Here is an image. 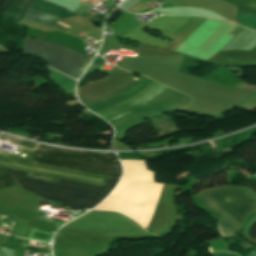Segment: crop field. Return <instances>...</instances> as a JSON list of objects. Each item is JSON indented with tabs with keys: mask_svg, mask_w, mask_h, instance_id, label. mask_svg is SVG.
Wrapping results in <instances>:
<instances>
[{
	"mask_svg": "<svg viewBox=\"0 0 256 256\" xmlns=\"http://www.w3.org/2000/svg\"><path fill=\"white\" fill-rule=\"evenodd\" d=\"M33 160L39 164L82 172L120 177L122 170L115 155L38 145ZM5 169V168H4ZM20 187L73 210L92 209L113 189L119 178L109 177L105 186H96L58 178L57 183L24 178V172L5 169Z\"/></svg>",
	"mask_w": 256,
	"mask_h": 256,
	"instance_id": "8a807250",
	"label": "crop field"
},
{
	"mask_svg": "<svg viewBox=\"0 0 256 256\" xmlns=\"http://www.w3.org/2000/svg\"><path fill=\"white\" fill-rule=\"evenodd\" d=\"M160 87L162 85L141 75L135 83L120 93L85 106L104 118L138 106ZM191 102L190 97L163 86L138 107L104 119L114 126V138L120 140L129 129L140 125L145 118L178 110Z\"/></svg>",
	"mask_w": 256,
	"mask_h": 256,
	"instance_id": "ac0d7876",
	"label": "crop field"
},
{
	"mask_svg": "<svg viewBox=\"0 0 256 256\" xmlns=\"http://www.w3.org/2000/svg\"><path fill=\"white\" fill-rule=\"evenodd\" d=\"M23 53L45 60L49 66L79 79L91 58L78 54L56 43L26 38ZM50 67V68H51Z\"/></svg>",
	"mask_w": 256,
	"mask_h": 256,
	"instance_id": "34b2d1b8",
	"label": "crop field"
},
{
	"mask_svg": "<svg viewBox=\"0 0 256 256\" xmlns=\"http://www.w3.org/2000/svg\"><path fill=\"white\" fill-rule=\"evenodd\" d=\"M241 226L254 204V197L247 191L223 189L205 194Z\"/></svg>",
	"mask_w": 256,
	"mask_h": 256,
	"instance_id": "412701ff",
	"label": "crop field"
},
{
	"mask_svg": "<svg viewBox=\"0 0 256 256\" xmlns=\"http://www.w3.org/2000/svg\"><path fill=\"white\" fill-rule=\"evenodd\" d=\"M34 7L39 8L41 10H44L46 12H49L53 15H56L58 17H61L63 19L65 18H71V17H79V15L52 3L46 2L44 0H38L35 4ZM34 7H31V9L28 11V13L25 15V19H29L32 21H36L42 24H46L49 25L55 29H58L60 31H65L67 30L66 28L58 25L57 23L62 21L63 19L58 18L56 16H53L51 14H48L44 11H41L39 9H36ZM61 24V23H59ZM63 25V24H61ZM67 28H69V26L63 25Z\"/></svg>",
	"mask_w": 256,
	"mask_h": 256,
	"instance_id": "f4fd0767",
	"label": "crop field"
},
{
	"mask_svg": "<svg viewBox=\"0 0 256 256\" xmlns=\"http://www.w3.org/2000/svg\"><path fill=\"white\" fill-rule=\"evenodd\" d=\"M255 45H256V32L243 28L220 51L229 50V49L251 50Z\"/></svg>",
	"mask_w": 256,
	"mask_h": 256,
	"instance_id": "dd49c442",
	"label": "crop field"
},
{
	"mask_svg": "<svg viewBox=\"0 0 256 256\" xmlns=\"http://www.w3.org/2000/svg\"><path fill=\"white\" fill-rule=\"evenodd\" d=\"M35 1L36 0H8L2 14L19 23Z\"/></svg>",
	"mask_w": 256,
	"mask_h": 256,
	"instance_id": "e52e79f7",
	"label": "crop field"
},
{
	"mask_svg": "<svg viewBox=\"0 0 256 256\" xmlns=\"http://www.w3.org/2000/svg\"><path fill=\"white\" fill-rule=\"evenodd\" d=\"M49 70L51 74V79L54 81V83L57 86L75 95L74 87H75L76 81L68 77H65L51 69Z\"/></svg>",
	"mask_w": 256,
	"mask_h": 256,
	"instance_id": "d8731c3e",
	"label": "crop field"
},
{
	"mask_svg": "<svg viewBox=\"0 0 256 256\" xmlns=\"http://www.w3.org/2000/svg\"><path fill=\"white\" fill-rule=\"evenodd\" d=\"M217 222H218L217 227H218L219 232L221 233V235H222L223 237H225V236H230V235H231V236H233L235 239H237L245 249H247V248H249V247H252V245H250V244L246 243L245 241H243V240L237 235V233H236L235 231H233L222 219L217 220ZM233 237H232V238H233ZM237 240H236V241H237Z\"/></svg>",
	"mask_w": 256,
	"mask_h": 256,
	"instance_id": "5a996713",
	"label": "crop field"
},
{
	"mask_svg": "<svg viewBox=\"0 0 256 256\" xmlns=\"http://www.w3.org/2000/svg\"><path fill=\"white\" fill-rule=\"evenodd\" d=\"M238 25L247 27L256 31V14L248 12L247 15L239 14Z\"/></svg>",
	"mask_w": 256,
	"mask_h": 256,
	"instance_id": "3316defc",
	"label": "crop field"
},
{
	"mask_svg": "<svg viewBox=\"0 0 256 256\" xmlns=\"http://www.w3.org/2000/svg\"><path fill=\"white\" fill-rule=\"evenodd\" d=\"M12 177L3 169H0V187L14 185Z\"/></svg>",
	"mask_w": 256,
	"mask_h": 256,
	"instance_id": "28ad6ade",
	"label": "crop field"
}]
</instances>
